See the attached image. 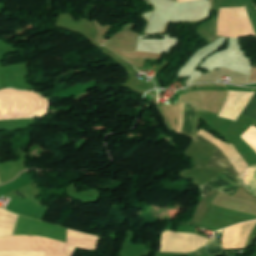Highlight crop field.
I'll return each mask as SVG.
<instances>
[{
	"label": "crop field",
	"instance_id": "obj_4",
	"mask_svg": "<svg viewBox=\"0 0 256 256\" xmlns=\"http://www.w3.org/2000/svg\"><path fill=\"white\" fill-rule=\"evenodd\" d=\"M229 93V91H228ZM242 115L256 119V92L242 112Z\"/></svg>",
	"mask_w": 256,
	"mask_h": 256
},
{
	"label": "crop field",
	"instance_id": "obj_2",
	"mask_svg": "<svg viewBox=\"0 0 256 256\" xmlns=\"http://www.w3.org/2000/svg\"><path fill=\"white\" fill-rule=\"evenodd\" d=\"M199 131V109L185 103L181 133L195 138Z\"/></svg>",
	"mask_w": 256,
	"mask_h": 256
},
{
	"label": "crop field",
	"instance_id": "obj_5",
	"mask_svg": "<svg viewBox=\"0 0 256 256\" xmlns=\"http://www.w3.org/2000/svg\"><path fill=\"white\" fill-rule=\"evenodd\" d=\"M213 241H215V240H208V242L206 244L213 242ZM206 248H207V252H208L209 256L223 253V249L220 245L219 240L206 245Z\"/></svg>",
	"mask_w": 256,
	"mask_h": 256
},
{
	"label": "crop field",
	"instance_id": "obj_1",
	"mask_svg": "<svg viewBox=\"0 0 256 256\" xmlns=\"http://www.w3.org/2000/svg\"><path fill=\"white\" fill-rule=\"evenodd\" d=\"M239 185L240 184L237 180L223 172L205 185L201 186V191L203 193L207 188H210L232 196Z\"/></svg>",
	"mask_w": 256,
	"mask_h": 256
},
{
	"label": "crop field",
	"instance_id": "obj_3",
	"mask_svg": "<svg viewBox=\"0 0 256 256\" xmlns=\"http://www.w3.org/2000/svg\"><path fill=\"white\" fill-rule=\"evenodd\" d=\"M196 139L208 143L214 147V154L210 158L209 162L206 164L207 166L222 168L234 174L235 176L239 175L237 171L233 168V166L229 163V161L225 158V156L221 153L218 147H216L214 144H212L199 134Z\"/></svg>",
	"mask_w": 256,
	"mask_h": 256
},
{
	"label": "crop field",
	"instance_id": "obj_6",
	"mask_svg": "<svg viewBox=\"0 0 256 256\" xmlns=\"http://www.w3.org/2000/svg\"><path fill=\"white\" fill-rule=\"evenodd\" d=\"M7 88L4 82V79L2 77L1 71H0V89Z\"/></svg>",
	"mask_w": 256,
	"mask_h": 256
}]
</instances>
